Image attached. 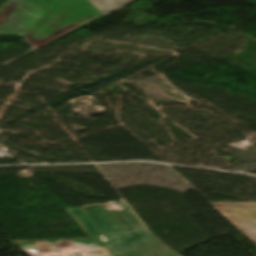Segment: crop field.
I'll list each match as a JSON object with an SVG mask.
<instances>
[{"label": "crop field", "mask_w": 256, "mask_h": 256, "mask_svg": "<svg viewBox=\"0 0 256 256\" xmlns=\"http://www.w3.org/2000/svg\"><path fill=\"white\" fill-rule=\"evenodd\" d=\"M87 16L102 14L87 0H58L28 31L38 42Z\"/></svg>", "instance_id": "crop-field-2"}, {"label": "crop field", "mask_w": 256, "mask_h": 256, "mask_svg": "<svg viewBox=\"0 0 256 256\" xmlns=\"http://www.w3.org/2000/svg\"><path fill=\"white\" fill-rule=\"evenodd\" d=\"M21 5L0 24V34L24 36L25 32L46 12L29 0H13ZM17 4L5 12L9 13Z\"/></svg>", "instance_id": "crop-field-3"}, {"label": "crop field", "mask_w": 256, "mask_h": 256, "mask_svg": "<svg viewBox=\"0 0 256 256\" xmlns=\"http://www.w3.org/2000/svg\"><path fill=\"white\" fill-rule=\"evenodd\" d=\"M124 209L110 211L93 204L69 209V213L100 247L112 256H178L151 236L122 200Z\"/></svg>", "instance_id": "crop-field-1"}, {"label": "crop field", "mask_w": 256, "mask_h": 256, "mask_svg": "<svg viewBox=\"0 0 256 256\" xmlns=\"http://www.w3.org/2000/svg\"><path fill=\"white\" fill-rule=\"evenodd\" d=\"M256 243V203H212Z\"/></svg>", "instance_id": "crop-field-4"}, {"label": "crop field", "mask_w": 256, "mask_h": 256, "mask_svg": "<svg viewBox=\"0 0 256 256\" xmlns=\"http://www.w3.org/2000/svg\"><path fill=\"white\" fill-rule=\"evenodd\" d=\"M103 15H106L134 0H88Z\"/></svg>", "instance_id": "crop-field-5"}]
</instances>
